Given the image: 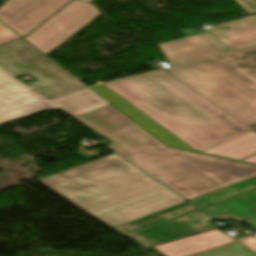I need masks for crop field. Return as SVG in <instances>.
Segmentation results:
<instances>
[{"instance_id":"3316defc","label":"crop field","mask_w":256,"mask_h":256,"mask_svg":"<svg viewBox=\"0 0 256 256\" xmlns=\"http://www.w3.org/2000/svg\"><path fill=\"white\" fill-rule=\"evenodd\" d=\"M159 47L171 66L227 52L208 33L160 44Z\"/></svg>"},{"instance_id":"d9b57169","label":"crop field","mask_w":256,"mask_h":256,"mask_svg":"<svg viewBox=\"0 0 256 256\" xmlns=\"http://www.w3.org/2000/svg\"><path fill=\"white\" fill-rule=\"evenodd\" d=\"M195 256H256L239 243L235 242L211 251H207Z\"/></svg>"},{"instance_id":"a9b5d70f","label":"crop field","mask_w":256,"mask_h":256,"mask_svg":"<svg viewBox=\"0 0 256 256\" xmlns=\"http://www.w3.org/2000/svg\"><path fill=\"white\" fill-rule=\"evenodd\" d=\"M81 1H84V2L89 3V2L92 1V0H81Z\"/></svg>"},{"instance_id":"214f88e0","label":"crop field","mask_w":256,"mask_h":256,"mask_svg":"<svg viewBox=\"0 0 256 256\" xmlns=\"http://www.w3.org/2000/svg\"><path fill=\"white\" fill-rule=\"evenodd\" d=\"M246 245H248L250 248H252L254 251H256V238H248L243 241Z\"/></svg>"},{"instance_id":"4a817a6b","label":"crop field","mask_w":256,"mask_h":256,"mask_svg":"<svg viewBox=\"0 0 256 256\" xmlns=\"http://www.w3.org/2000/svg\"><path fill=\"white\" fill-rule=\"evenodd\" d=\"M249 14L256 12V0H235Z\"/></svg>"},{"instance_id":"bc2a9ffb","label":"crop field","mask_w":256,"mask_h":256,"mask_svg":"<svg viewBox=\"0 0 256 256\" xmlns=\"http://www.w3.org/2000/svg\"><path fill=\"white\" fill-rule=\"evenodd\" d=\"M238 198H242V199H246V200H250V201H256V190L237 196Z\"/></svg>"},{"instance_id":"ac0d7876","label":"crop field","mask_w":256,"mask_h":256,"mask_svg":"<svg viewBox=\"0 0 256 256\" xmlns=\"http://www.w3.org/2000/svg\"><path fill=\"white\" fill-rule=\"evenodd\" d=\"M39 182L111 228L186 202L115 154Z\"/></svg>"},{"instance_id":"8a807250","label":"crop field","mask_w":256,"mask_h":256,"mask_svg":"<svg viewBox=\"0 0 256 256\" xmlns=\"http://www.w3.org/2000/svg\"><path fill=\"white\" fill-rule=\"evenodd\" d=\"M74 118L188 200L256 176V166L166 147L111 104Z\"/></svg>"},{"instance_id":"5a996713","label":"crop field","mask_w":256,"mask_h":256,"mask_svg":"<svg viewBox=\"0 0 256 256\" xmlns=\"http://www.w3.org/2000/svg\"><path fill=\"white\" fill-rule=\"evenodd\" d=\"M69 0H9L0 7V20L22 37Z\"/></svg>"},{"instance_id":"d8731c3e","label":"crop field","mask_w":256,"mask_h":256,"mask_svg":"<svg viewBox=\"0 0 256 256\" xmlns=\"http://www.w3.org/2000/svg\"><path fill=\"white\" fill-rule=\"evenodd\" d=\"M100 14L94 5L73 0L24 39L46 55Z\"/></svg>"},{"instance_id":"d1516ede","label":"crop field","mask_w":256,"mask_h":256,"mask_svg":"<svg viewBox=\"0 0 256 256\" xmlns=\"http://www.w3.org/2000/svg\"><path fill=\"white\" fill-rule=\"evenodd\" d=\"M230 241L233 240L215 230L154 246V248L167 256H185Z\"/></svg>"},{"instance_id":"22f410ed","label":"crop field","mask_w":256,"mask_h":256,"mask_svg":"<svg viewBox=\"0 0 256 256\" xmlns=\"http://www.w3.org/2000/svg\"><path fill=\"white\" fill-rule=\"evenodd\" d=\"M203 152L241 160L256 153V134L249 131Z\"/></svg>"},{"instance_id":"733c2abd","label":"crop field","mask_w":256,"mask_h":256,"mask_svg":"<svg viewBox=\"0 0 256 256\" xmlns=\"http://www.w3.org/2000/svg\"><path fill=\"white\" fill-rule=\"evenodd\" d=\"M18 38V35L0 23V43Z\"/></svg>"},{"instance_id":"5142ce71","label":"crop field","mask_w":256,"mask_h":256,"mask_svg":"<svg viewBox=\"0 0 256 256\" xmlns=\"http://www.w3.org/2000/svg\"><path fill=\"white\" fill-rule=\"evenodd\" d=\"M256 189V178L232 185L230 187L206 194L204 196L190 200L195 203L198 202L199 207L203 208L211 204L223 201L225 199L249 192Z\"/></svg>"},{"instance_id":"92a150f3","label":"crop field","mask_w":256,"mask_h":256,"mask_svg":"<svg viewBox=\"0 0 256 256\" xmlns=\"http://www.w3.org/2000/svg\"><path fill=\"white\" fill-rule=\"evenodd\" d=\"M247 225H249L251 228L256 230V220L245 222Z\"/></svg>"},{"instance_id":"412701ff","label":"crop field","mask_w":256,"mask_h":256,"mask_svg":"<svg viewBox=\"0 0 256 256\" xmlns=\"http://www.w3.org/2000/svg\"><path fill=\"white\" fill-rule=\"evenodd\" d=\"M166 70L250 130L256 128V47Z\"/></svg>"},{"instance_id":"dd49c442","label":"crop field","mask_w":256,"mask_h":256,"mask_svg":"<svg viewBox=\"0 0 256 256\" xmlns=\"http://www.w3.org/2000/svg\"><path fill=\"white\" fill-rule=\"evenodd\" d=\"M106 104L109 103L89 88L47 102L0 71V125L52 109H61L74 117Z\"/></svg>"},{"instance_id":"dafd665d","label":"crop field","mask_w":256,"mask_h":256,"mask_svg":"<svg viewBox=\"0 0 256 256\" xmlns=\"http://www.w3.org/2000/svg\"><path fill=\"white\" fill-rule=\"evenodd\" d=\"M241 200V199H239ZM242 202H244L245 204H247L248 206H250L251 208H253L254 210H256V205L252 202L249 201H245V200H241Z\"/></svg>"},{"instance_id":"34b2d1b8","label":"crop field","mask_w":256,"mask_h":256,"mask_svg":"<svg viewBox=\"0 0 256 256\" xmlns=\"http://www.w3.org/2000/svg\"><path fill=\"white\" fill-rule=\"evenodd\" d=\"M104 85L197 152L249 131L165 70Z\"/></svg>"},{"instance_id":"cbeb9de0","label":"crop field","mask_w":256,"mask_h":256,"mask_svg":"<svg viewBox=\"0 0 256 256\" xmlns=\"http://www.w3.org/2000/svg\"><path fill=\"white\" fill-rule=\"evenodd\" d=\"M203 209L218 219H235L240 222L256 217V211L236 198H231Z\"/></svg>"},{"instance_id":"f4fd0767","label":"crop field","mask_w":256,"mask_h":256,"mask_svg":"<svg viewBox=\"0 0 256 256\" xmlns=\"http://www.w3.org/2000/svg\"><path fill=\"white\" fill-rule=\"evenodd\" d=\"M0 68L13 77L30 73L39 81L27 86L46 99L86 88L22 38L0 44Z\"/></svg>"},{"instance_id":"00972430","label":"crop field","mask_w":256,"mask_h":256,"mask_svg":"<svg viewBox=\"0 0 256 256\" xmlns=\"http://www.w3.org/2000/svg\"><path fill=\"white\" fill-rule=\"evenodd\" d=\"M244 161L256 163V155H254V156H252V157H249V158L245 159Z\"/></svg>"},{"instance_id":"28ad6ade","label":"crop field","mask_w":256,"mask_h":256,"mask_svg":"<svg viewBox=\"0 0 256 256\" xmlns=\"http://www.w3.org/2000/svg\"><path fill=\"white\" fill-rule=\"evenodd\" d=\"M230 27V30H210L224 46L230 51H235L256 45V15L222 24V27Z\"/></svg>"},{"instance_id":"e52e79f7","label":"crop field","mask_w":256,"mask_h":256,"mask_svg":"<svg viewBox=\"0 0 256 256\" xmlns=\"http://www.w3.org/2000/svg\"><path fill=\"white\" fill-rule=\"evenodd\" d=\"M195 210L186 202L113 229L145 248L216 229L209 224L213 218Z\"/></svg>"},{"instance_id":"4177f3b9","label":"crop field","mask_w":256,"mask_h":256,"mask_svg":"<svg viewBox=\"0 0 256 256\" xmlns=\"http://www.w3.org/2000/svg\"><path fill=\"white\" fill-rule=\"evenodd\" d=\"M252 131L256 133V129H254V130H252Z\"/></svg>"}]
</instances>
